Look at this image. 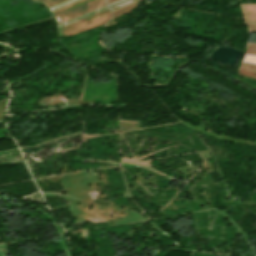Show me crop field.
<instances>
[{"label": "crop field", "mask_w": 256, "mask_h": 256, "mask_svg": "<svg viewBox=\"0 0 256 256\" xmlns=\"http://www.w3.org/2000/svg\"><path fill=\"white\" fill-rule=\"evenodd\" d=\"M102 2H104V0H93V1H91V2H88V3L83 4V5H81V6L75 7V8H73V9H70V10L65 11V12H63V13L57 14V15H55L54 17H55L56 21H58V20H60V19H63V18H65V17H68V16H70V15H72V14H75V13H77V12H80V11H82V10H85V9H87V8H90V7L94 6V5H97V4L102 3Z\"/></svg>", "instance_id": "1"}, {"label": "crop field", "mask_w": 256, "mask_h": 256, "mask_svg": "<svg viewBox=\"0 0 256 256\" xmlns=\"http://www.w3.org/2000/svg\"><path fill=\"white\" fill-rule=\"evenodd\" d=\"M105 8H107V5H105V6H103V7H100V8H98V9H95V10H93V11H91V12L86 13V14H83V15H81V16H78V17H76V18H73V19H71V20H69V21H66V22H64V23H61L60 25L62 26V25H64V24H67V23L72 22V21H74V20H77V19H79V18L85 17V16H87V15H90V14H92V13H95V12L100 11V10L105 9Z\"/></svg>", "instance_id": "2"}, {"label": "crop field", "mask_w": 256, "mask_h": 256, "mask_svg": "<svg viewBox=\"0 0 256 256\" xmlns=\"http://www.w3.org/2000/svg\"><path fill=\"white\" fill-rule=\"evenodd\" d=\"M105 4H106V3L104 2V3L100 4V5H97V6H95V7H92V8H90V9L85 10V11H83V12H80V13H78V14H76V15H73V16L68 17V18H66V19H63V20H60V21H58L57 23L59 24V23H61V22H63V21H66V20L71 19V18H73V17H76V16H78V15H81V14H83V13H85V12H88V11H90V10H93V9H95V8H98V7H100V6H103V5H105Z\"/></svg>", "instance_id": "3"}, {"label": "crop field", "mask_w": 256, "mask_h": 256, "mask_svg": "<svg viewBox=\"0 0 256 256\" xmlns=\"http://www.w3.org/2000/svg\"><path fill=\"white\" fill-rule=\"evenodd\" d=\"M63 1H66V0H47L44 4L49 7V6H52V5H55V4H58V3H61Z\"/></svg>", "instance_id": "4"}, {"label": "crop field", "mask_w": 256, "mask_h": 256, "mask_svg": "<svg viewBox=\"0 0 256 256\" xmlns=\"http://www.w3.org/2000/svg\"><path fill=\"white\" fill-rule=\"evenodd\" d=\"M249 32H256V22H246Z\"/></svg>", "instance_id": "5"}, {"label": "crop field", "mask_w": 256, "mask_h": 256, "mask_svg": "<svg viewBox=\"0 0 256 256\" xmlns=\"http://www.w3.org/2000/svg\"><path fill=\"white\" fill-rule=\"evenodd\" d=\"M244 61L245 62L256 63V56L246 55Z\"/></svg>", "instance_id": "6"}, {"label": "crop field", "mask_w": 256, "mask_h": 256, "mask_svg": "<svg viewBox=\"0 0 256 256\" xmlns=\"http://www.w3.org/2000/svg\"><path fill=\"white\" fill-rule=\"evenodd\" d=\"M80 1H82V0H77V1H74V2L69 3V4H67V5H64V6H62V7H59V8H57V9L52 10V12H54V11H56V10H59V9H62V8H64V7H67V6H69V5H72V4H74V3L80 2Z\"/></svg>", "instance_id": "7"}, {"label": "crop field", "mask_w": 256, "mask_h": 256, "mask_svg": "<svg viewBox=\"0 0 256 256\" xmlns=\"http://www.w3.org/2000/svg\"><path fill=\"white\" fill-rule=\"evenodd\" d=\"M72 1H74V0H70V1H67V2H65V3H62V4H60V5H57V6H55V7H52V8H50V10H52V9H54V8H57V7H59V6H62V5H64V4H67V3H69V2H72Z\"/></svg>", "instance_id": "8"}, {"label": "crop field", "mask_w": 256, "mask_h": 256, "mask_svg": "<svg viewBox=\"0 0 256 256\" xmlns=\"http://www.w3.org/2000/svg\"><path fill=\"white\" fill-rule=\"evenodd\" d=\"M123 1H126V0H119V1H116V2H114V3H111V4H109V7H111V6H113V5H116V4H118V3H121V2H123Z\"/></svg>", "instance_id": "9"}, {"label": "crop field", "mask_w": 256, "mask_h": 256, "mask_svg": "<svg viewBox=\"0 0 256 256\" xmlns=\"http://www.w3.org/2000/svg\"><path fill=\"white\" fill-rule=\"evenodd\" d=\"M114 1H116V0H110V1H108L107 3L109 4V3L114 2Z\"/></svg>", "instance_id": "10"}, {"label": "crop field", "mask_w": 256, "mask_h": 256, "mask_svg": "<svg viewBox=\"0 0 256 256\" xmlns=\"http://www.w3.org/2000/svg\"><path fill=\"white\" fill-rule=\"evenodd\" d=\"M37 1H40V2H43V3H44L46 0H37Z\"/></svg>", "instance_id": "11"}, {"label": "crop field", "mask_w": 256, "mask_h": 256, "mask_svg": "<svg viewBox=\"0 0 256 256\" xmlns=\"http://www.w3.org/2000/svg\"><path fill=\"white\" fill-rule=\"evenodd\" d=\"M108 1V0H107Z\"/></svg>", "instance_id": "12"}]
</instances>
